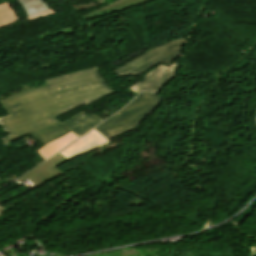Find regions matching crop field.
Returning <instances> with one entry per match:
<instances>
[{"label": "crop field", "mask_w": 256, "mask_h": 256, "mask_svg": "<svg viewBox=\"0 0 256 256\" xmlns=\"http://www.w3.org/2000/svg\"><path fill=\"white\" fill-rule=\"evenodd\" d=\"M46 82L49 86L1 100L10 114L1 123L11 135L3 139L5 144L30 133L45 145L37 151L48 159L78 138L53 117L83 103L89 105L113 91L100 77L97 67Z\"/></svg>", "instance_id": "1"}, {"label": "crop field", "mask_w": 256, "mask_h": 256, "mask_svg": "<svg viewBox=\"0 0 256 256\" xmlns=\"http://www.w3.org/2000/svg\"><path fill=\"white\" fill-rule=\"evenodd\" d=\"M159 102L160 101L156 95L149 92H143L126 108L111 116L95 129L106 136L107 139H112L133 131L137 129L144 118L158 106Z\"/></svg>", "instance_id": "2"}, {"label": "crop field", "mask_w": 256, "mask_h": 256, "mask_svg": "<svg viewBox=\"0 0 256 256\" xmlns=\"http://www.w3.org/2000/svg\"><path fill=\"white\" fill-rule=\"evenodd\" d=\"M185 38L182 37L164 46L156 48L135 60L114 70L118 77L139 76L146 73L152 67L162 62L170 65L172 61L181 55Z\"/></svg>", "instance_id": "3"}, {"label": "crop field", "mask_w": 256, "mask_h": 256, "mask_svg": "<svg viewBox=\"0 0 256 256\" xmlns=\"http://www.w3.org/2000/svg\"><path fill=\"white\" fill-rule=\"evenodd\" d=\"M176 72L177 61L172 63L170 66L160 63L149 72L144 74V80L133 85L129 89H131L136 94H139L143 90L156 93L168 84Z\"/></svg>", "instance_id": "4"}, {"label": "crop field", "mask_w": 256, "mask_h": 256, "mask_svg": "<svg viewBox=\"0 0 256 256\" xmlns=\"http://www.w3.org/2000/svg\"><path fill=\"white\" fill-rule=\"evenodd\" d=\"M108 143L110 142L107 139H105L98 131L93 129L90 133L71 143L59 153L66 159L70 160Z\"/></svg>", "instance_id": "5"}, {"label": "crop field", "mask_w": 256, "mask_h": 256, "mask_svg": "<svg viewBox=\"0 0 256 256\" xmlns=\"http://www.w3.org/2000/svg\"><path fill=\"white\" fill-rule=\"evenodd\" d=\"M147 1H150V0H117V1H114L112 3L106 2L110 5H107L105 7L97 9V10H95V11H93V12H91V13L85 15V16H82V18L84 20H89V19H92V18H95V17H98V16L108 14V13L121 11V10L139 5V4L147 2ZM103 2L94 3V4H91V5H87V6L74 7V9H89L91 7L98 6L99 4H101Z\"/></svg>", "instance_id": "6"}, {"label": "crop field", "mask_w": 256, "mask_h": 256, "mask_svg": "<svg viewBox=\"0 0 256 256\" xmlns=\"http://www.w3.org/2000/svg\"><path fill=\"white\" fill-rule=\"evenodd\" d=\"M102 121L103 119L97 116L81 112L76 117L63 124L73 130L80 137Z\"/></svg>", "instance_id": "7"}, {"label": "crop field", "mask_w": 256, "mask_h": 256, "mask_svg": "<svg viewBox=\"0 0 256 256\" xmlns=\"http://www.w3.org/2000/svg\"><path fill=\"white\" fill-rule=\"evenodd\" d=\"M67 162L66 160H64L61 156H59L58 154L55 155L53 158H51L50 160H48L47 162H45L44 164L38 166L37 168H35L34 170H32L31 172H29L27 175L17 179L20 182L33 177L37 174H40L42 172H45L53 167H58L59 165H61L62 163Z\"/></svg>", "instance_id": "8"}, {"label": "crop field", "mask_w": 256, "mask_h": 256, "mask_svg": "<svg viewBox=\"0 0 256 256\" xmlns=\"http://www.w3.org/2000/svg\"><path fill=\"white\" fill-rule=\"evenodd\" d=\"M18 20L8 3L0 5V27Z\"/></svg>", "instance_id": "9"}, {"label": "crop field", "mask_w": 256, "mask_h": 256, "mask_svg": "<svg viewBox=\"0 0 256 256\" xmlns=\"http://www.w3.org/2000/svg\"><path fill=\"white\" fill-rule=\"evenodd\" d=\"M63 172H61L60 170H58L57 168H54L50 171H47L45 173H42L40 175H37L33 178H30V181L33 185H35L36 187L59 176L60 174H62Z\"/></svg>", "instance_id": "10"}, {"label": "crop field", "mask_w": 256, "mask_h": 256, "mask_svg": "<svg viewBox=\"0 0 256 256\" xmlns=\"http://www.w3.org/2000/svg\"><path fill=\"white\" fill-rule=\"evenodd\" d=\"M53 13H55L54 10H50V11L41 13V14H39V15L29 17V18H27V19H28V21H31V20L37 19V18H39V17L45 16V15H49V14H53Z\"/></svg>", "instance_id": "11"}, {"label": "crop field", "mask_w": 256, "mask_h": 256, "mask_svg": "<svg viewBox=\"0 0 256 256\" xmlns=\"http://www.w3.org/2000/svg\"><path fill=\"white\" fill-rule=\"evenodd\" d=\"M97 1H100V0H97Z\"/></svg>", "instance_id": "12"}, {"label": "crop field", "mask_w": 256, "mask_h": 256, "mask_svg": "<svg viewBox=\"0 0 256 256\" xmlns=\"http://www.w3.org/2000/svg\"><path fill=\"white\" fill-rule=\"evenodd\" d=\"M1 126V125H0Z\"/></svg>", "instance_id": "13"}]
</instances>
